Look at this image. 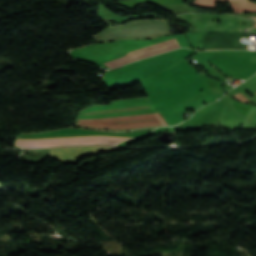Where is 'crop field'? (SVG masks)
Masks as SVG:
<instances>
[{
	"mask_svg": "<svg viewBox=\"0 0 256 256\" xmlns=\"http://www.w3.org/2000/svg\"><path fill=\"white\" fill-rule=\"evenodd\" d=\"M158 124L162 121L158 113L154 114ZM153 114L146 115H126V116H116V117H106V118H96L85 120L84 126L89 127H99V128H135L144 127L150 125H156L157 122Z\"/></svg>",
	"mask_w": 256,
	"mask_h": 256,
	"instance_id": "obj_1",
	"label": "crop field"
},
{
	"mask_svg": "<svg viewBox=\"0 0 256 256\" xmlns=\"http://www.w3.org/2000/svg\"><path fill=\"white\" fill-rule=\"evenodd\" d=\"M180 47L176 38L168 40V41H164L152 46H148L136 51H132L129 53H126L125 56L117 58V59H113L109 62L103 63L106 66L112 68V67H116L122 64H126L144 57H148L151 55H155L158 53H162L168 50H172L175 48Z\"/></svg>",
	"mask_w": 256,
	"mask_h": 256,
	"instance_id": "obj_2",
	"label": "crop field"
},
{
	"mask_svg": "<svg viewBox=\"0 0 256 256\" xmlns=\"http://www.w3.org/2000/svg\"><path fill=\"white\" fill-rule=\"evenodd\" d=\"M174 14L184 12H198L197 9L190 8L189 5L184 4H156Z\"/></svg>",
	"mask_w": 256,
	"mask_h": 256,
	"instance_id": "obj_3",
	"label": "crop field"
},
{
	"mask_svg": "<svg viewBox=\"0 0 256 256\" xmlns=\"http://www.w3.org/2000/svg\"><path fill=\"white\" fill-rule=\"evenodd\" d=\"M246 1L230 3L233 11L234 12H256V4H250Z\"/></svg>",
	"mask_w": 256,
	"mask_h": 256,
	"instance_id": "obj_4",
	"label": "crop field"
},
{
	"mask_svg": "<svg viewBox=\"0 0 256 256\" xmlns=\"http://www.w3.org/2000/svg\"><path fill=\"white\" fill-rule=\"evenodd\" d=\"M215 2L216 0H194L193 4L207 8H216Z\"/></svg>",
	"mask_w": 256,
	"mask_h": 256,
	"instance_id": "obj_5",
	"label": "crop field"
}]
</instances>
